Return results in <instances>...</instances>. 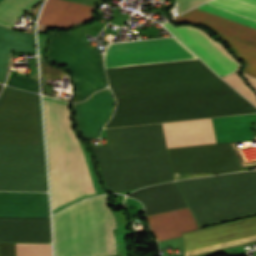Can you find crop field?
I'll use <instances>...</instances> for the list:
<instances>
[{"mask_svg":"<svg viewBox=\"0 0 256 256\" xmlns=\"http://www.w3.org/2000/svg\"><path fill=\"white\" fill-rule=\"evenodd\" d=\"M206 0H177L179 14Z\"/></svg>","mask_w":256,"mask_h":256,"instance_id":"19","label":"crop field"},{"mask_svg":"<svg viewBox=\"0 0 256 256\" xmlns=\"http://www.w3.org/2000/svg\"><path fill=\"white\" fill-rule=\"evenodd\" d=\"M109 196L83 200L70 207L72 256L115 254L111 229L115 221L105 204ZM55 256H71L69 207L53 215Z\"/></svg>","mask_w":256,"mask_h":256,"instance_id":"5","label":"crop field"},{"mask_svg":"<svg viewBox=\"0 0 256 256\" xmlns=\"http://www.w3.org/2000/svg\"><path fill=\"white\" fill-rule=\"evenodd\" d=\"M197 59L175 38L109 44L105 69Z\"/></svg>","mask_w":256,"mask_h":256,"instance_id":"10","label":"crop field"},{"mask_svg":"<svg viewBox=\"0 0 256 256\" xmlns=\"http://www.w3.org/2000/svg\"><path fill=\"white\" fill-rule=\"evenodd\" d=\"M167 148L216 143L211 119L163 124ZM162 124L105 130L92 147L110 192L173 180Z\"/></svg>","mask_w":256,"mask_h":256,"instance_id":"2","label":"crop field"},{"mask_svg":"<svg viewBox=\"0 0 256 256\" xmlns=\"http://www.w3.org/2000/svg\"><path fill=\"white\" fill-rule=\"evenodd\" d=\"M2 86H0V89H1Z\"/></svg>","mask_w":256,"mask_h":256,"instance_id":"20","label":"crop field"},{"mask_svg":"<svg viewBox=\"0 0 256 256\" xmlns=\"http://www.w3.org/2000/svg\"><path fill=\"white\" fill-rule=\"evenodd\" d=\"M53 209L94 192L66 104L44 99Z\"/></svg>","mask_w":256,"mask_h":256,"instance_id":"4","label":"crop field"},{"mask_svg":"<svg viewBox=\"0 0 256 256\" xmlns=\"http://www.w3.org/2000/svg\"><path fill=\"white\" fill-rule=\"evenodd\" d=\"M256 235V216L183 233L184 251ZM256 241V236L190 250L184 256H194Z\"/></svg>","mask_w":256,"mask_h":256,"instance_id":"11","label":"crop field"},{"mask_svg":"<svg viewBox=\"0 0 256 256\" xmlns=\"http://www.w3.org/2000/svg\"><path fill=\"white\" fill-rule=\"evenodd\" d=\"M113 105L109 89L94 93L83 103L74 104L78 127L85 139L99 137V131L111 115Z\"/></svg>","mask_w":256,"mask_h":256,"instance_id":"13","label":"crop field"},{"mask_svg":"<svg viewBox=\"0 0 256 256\" xmlns=\"http://www.w3.org/2000/svg\"><path fill=\"white\" fill-rule=\"evenodd\" d=\"M207 5L256 22V0H211ZM196 9L256 30V23L207 5ZM193 9L175 19L176 23L189 22L209 27L235 50L246 62L244 72L256 77V31Z\"/></svg>","mask_w":256,"mask_h":256,"instance_id":"7","label":"crop field"},{"mask_svg":"<svg viewBox=\"0 0 256 256\" xmlns=\"http://www.w3.org/2000/svg\"><path fill=\"white\" fill-rule=\"evenodd\" d=\"M10 50L34 53L33 33L14 32L0 26V82L5 79Z\"/></svg>","mask_w":256,"mask_h":256,"instance_id":"15","label":"crop field"},{"mask_svg":"<svg viewBox=\"0 0 256 256\" xmlns=\"http://www.w3.org/2000/svg\"><path fill=\"white\" fill-rule=\"evenodd\" d=\"M47 193L0 192V217L49 218ZM0 218V242L50 243L49 219ZM0 256L14 244L0 243ZM15 256H51L50 244H15Z\"/></svg>","mask_w":256,"mask_h":256,"instance_id":"6","label":"crop field"},{"mask_svg":"<svg viewBox=\"0 0 256 256\" xmlns=\"http://www.w3.org/2000/svg\"><path fill=\"white\" fill-rule=\"evenodd\" d=\"M2 0H0L1 2ZM39 0H4L0 3V25L12 26Z\"/></svg>","mask_w":256,"mask_h":256,"instance_id":"16","label":"crop field"},{"mask_svg":"<svg viewBox=\"0 0 256 256\" xmlns=\"http://www.w3.org/2000/svg\"><path fill=\"white\" fill-rule=\"evenodd\" d=\"M6 85L39 93L38 81L22 76L9 77Z\"/></svg>","mask_w":256,"mask_h":256,"instance_id":"17","label":"crop field"},{"mask_svg":"<svg viewBox=\"0 0 256 256\" xmlns=\"http://www.w3.org/2000/svg\"><path fill=\"white\" fill-rule=\"evenodd\" d=\"M145 207L146 215L187 207L174 182L159 184L129 195ZM157 240L181 236V233L198 229L188 207L146 216Z\"/></svg>","mask_w":256,"mask_h":256,"instance_id":"9","label":"crop field"},{"mask_svg":"<svg viewBox=\"0 0 256 256\" xmlns=\"http://www.w3.org/2000/svg\"><path fill=\"white\" fill-rule=\"evenodd\" d=\"M47 56L52 63L66 66L74 75L77 87L74 102L83 101L92 92L106 87L102 58L71 32H51Z\"/></svg>","mask_w":256,"mask_h":256,"instance_id":"8","label":"crop field"},{"mask_svg":"<svg viewBox=\"0 0 256 256\" xmlns=\"http://www.w3.org/2000/svg\"><path fill=\"white\" fill-rule=\"evenodd\" d=\"M106 72L117 108L104 128L256 112L199 60Z\"/></svg>","mask_w":256,"mask_h":256,"instance_id":"1","label":"crop field"},{"mask_svg":"<svg viewBox=\"0 0 256 256\" xmlns=\"http://www.w3.org/2000/svg\"><path fill=\"white\" fill-rule=\"evenodd\" d=\"M91 9V6L65 0H47L38 22L53 27L70 28L92 18Z\"/></svg>","mask_w":256,"mask_h":256,"instance_id":"14","label":"crop field"},{"mask_svg":"<svg viewBox=\"0 0 256 256\" xmlns=\"http://www.w3.org/2000/svg\"><path fill=\"white\" fill-rule=\"evenodd\" d=\"M42 77L62 78L65 73L61 69H55L47 66L45 63L40 64Z\"/></svg>","mask_w":256,"mask_h":256,"instance_id":"18","label":"crop field"},{"mask_svg":"<svg viewBox=\"0 0 256 256\" xmlns=\"http://www.w3.org/2000/svg\"><path fill=\"white\" fill-rule=\"evenodd\" d=\"M163 25L175 36H177L184 44H186L203 62H205L218 75L227 73L232 70H236L237 64L239 68V63L233 58H231L225 51V49L217 43L227 53V55L231 59H233L237 64L233 60H231L226 55V53L217 44H215L216 42L213 43L214 41L204 33L213 42L210 41L204 34L201 33L202 31L199 32L200 30L197 31L198 29L193 30L189 28L178 27V29H176L169 22ZM233 72L236 71H232L229 73Z\"/></svg>","mask_w":256,"mask_h":256,"instance_id":"12","label":"crop field"},{"mask_svg":"<svg viewBox=\"0 0 256 256\" xmlns=\"http://www.w3.org/2000/svg\"><path fill=\"white\" fill-rule=\"evenodd\" d=\"M0 190L47 191L39 95L7 86L0 95Z\"/></svg>","mask_w":256,"mask_h":256,"instance_id":"3","label":"crop field"}]
</instances>
